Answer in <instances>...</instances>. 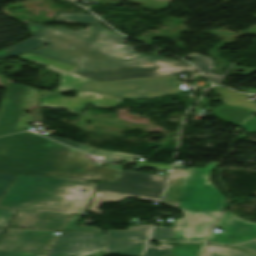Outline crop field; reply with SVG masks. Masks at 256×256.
<instances>
[{
    "mask_svg": "<svg viewBox=\"0 0 256 256\" xmlns=\"http://www.w3.org/2000/svg\"><path fill=\"white\" fill-rule=\"evenodd\" d=\"M32 38L0 50V59L43 46L30 53L78 66L74 73L97 81L122 80L175 75L196 70L186 62L137 53L123 44L126 37L91 25L73 31L61 27L46 28L29 22ZM174 71L175 73H170Z\"/></svg>",
    "mask_w": 256,
    "mask_h": 256,
    "instance_id": "1",
    "label": "crop field"
},
{
    "mask_svg": "<svg viewBox=\"0 0 256 256\" xmlns=\"http://www.w3.org/2000/svg\"><path fill=\"white\" fill-rule=\"evenodd\" d=\"M84 153L30 132L0 138V172L115 182L121 169L93 164Z\"/></svg>",
    "mask_w": 256,
    "mask_h": 256,
    "instance_id": "2",
    "label": "crop field"
},
{
    "mask_svg": "<svg viewBox=\"0 0 256 256\" xmlns=\"http://www.w3.org/2000/svg\"><path fill=\"white\" fill-rule=\"evenodd\" d=\"M95 183L19 175L0 201L2 208L84 214ZM78 189L89 190L86 194Z\"/></svg>",
    "mask_w": 256,
    "mask_h": 256,
    "instance_id": "3",
    "label": "crop field"
},
{
    "mask_svg": "<svg viewBox=\"0 0 256 256\" xmlns=\"http://www.w3.org/2000/svg\"><path fill=\"white\" fill-rule=\"evenodd\" d=\"M211 170L186 169L179 205L184 217L177 220L173 243L204 242L214 220L222 212L226 197L208 180Z\"/></svg>",
    "mask_w": 256,
    "mask_h": 256,
    "instance_id": "4",
    "label": "crop field"
},
{
    "mask_svg": "<svg viewBox=\"0 0 256 256\" xmlns=\"http://www.w3.org/2000/svg\"><path fill=\"white\" fill-rule=\"evenodd\" d=\"M168 176L122 171L117 183L100 182L93 195L89 210L99 215L101 203H119L127 196L159 202Z\"/></svg>",
    "mask_w": 256,
    "mask_h": 256,
    "instance_id": "5",
    "label": "crop field"
},
{
    "mask_svg": "<svg viewBox=\"0 0 256 256\" xmlns=\"http://www.w3.org/2000/svg\"><path fill=\"white\" fill-rule=\"evenodd\" d=\"M177 86L178 81L175 76L109 82H97L90 79L78 90H92L127 98H152L162 95L177 94ZM143 91L146 92L143 93Z\"/></svg>",
    "mask_w": 256,
    "mask_h": 256,
    "instance_id": "6",
    "label": "crop field"
},
{
    "mask_svg": "<svg viewBox=\"0 0 256 256\" xmlns=\"http://www.w3.org/2000/svg\"><path fill=\"white\" fill-rule=\"evenodd\" d=\"M37 104L36 89L9 84L0 105V135L29 129L31 116L25 113L29 105Z\"/></svg>",
    "mask_w": 256,
    "mask_h": 256,
    "instance_id": "7",
    "label": "crop field"
},
{
    "mask_svg": "<svg viewBox=\"0 0 256 256\" xmlns=\"http://www.w3.org/2000/svg\"><path fill=\"white\" fill-rule=\"evenodd\" d=\"M40 93L41 107H61L76 114H82L89 104L115 108L121 100L92 92H77L76 97H64L60 93Z\"/></svg>",
    "mask_w": 256,
    "mask_h": 256,
    "instance_id": "8",
    "label": "crop field"
},
{
    "mask_svg": "<svg viewBox=\"0 0 256 256\" xmlns=\"http://www.w3.org/2000/svg\"><path fill=\"white\" fill-rule=\"evenodd\" d=\"M55 238L52 232L8 229L0 242V250L46 253Z\"/></svg>",
    "mask_w": 256,
    "mask_h": 256,
    "instance_id": "9",
    "label": "crop field"
},
{
    "mask_svg": "<svg viewBox=\"0 0 256 256\" xmlns=\"http://www.w3.org/2000/svg\"><path fill=\"white\" fill-rule=\"evenodd\" d=\"M216 227L224 228L225 232L211 234L208 242L233 245L256 238V223L241 219L231 212L225 213Z\"/></svg>",
    "mask_w": 256,
    "mask_h": 256,
    "instance_id": "10",
    "label": "crop field"
},
{
    "mask_svg": "<svg viewBox=\"0 0 256 256\" xmlns=\"http://www.w3.org/2000/svg\"><path fill=\"white\" fill-rule=\"evenodd\" d=\"M68 215L69 214L64 213L20 210V213L17 215L11 226L21 228L60 230L64 225Z\"/></svg>",
    "mask_w": 256,
    "mask_h": 256,
    "instance_id": "11",
    "label": "crop field"
},
{
    "mask_svg": "<svg viewBox=\"0 0 256 256\" xmlns=\"http://www.w3.org/2000/svg\"><path fill=\"white\" fill-rule=\"evenodd\" d=\"M32 62L48 65L45 69L61 73L60 88L59 91L76 90L81 87L89 79L74 74L75 66L60 63L54 60H50L38 55L27 53L22 56H18Z\"/></svg>",
    "mask_w": 256,
    "mask_h": 256,
    "instance_id": "12",
    "label": "crop field"
},
{
    "mask_svg": "<svg viewBox=\"0 0 256 256\" xmlns=\"http://www.w3.org/2000/svg\"><path fill=\"white\" fill-rule=\"evenodd\" d=\"M146 241L105 240L104 256H140Z\"/></svg>",
    "mask_w": 256,
    "mask_h": 256,
    "instance_id": "13",
    "label": "crop field"
},
{
    "mask_svg": "<svg viewBox=\"0 0 256 256\" xmlns=\"http://www.w3.org/2000/svg\"><path fill=\"white\" fill-rule=\"evenodd\" d=\"M186 58L197 59L193 64L199 68L207 77H209L213 82L222 84L226 76L234 68L236 64L231 63L229 67L224 71L222 75L213 74V67L215 66L214 61L211 57L192 53Z\"/></svg>",
    "mask_w": 256,
    "mask_h": 256,
    "instance_id": "14",
    "label": "crop field"
},
{
    "mask_svg": "<svg viewBox=\"0 0 256 256\" xmlns=\"http://www.w3.org/2000/svg\"><path fill=\"white\" fill-rule=\"evenodd\" d=\"M185 169H174L167 186L163 204L178 209Z\"/></svg>",
    "mask_w": 256,
    "mask_h": 256,
    "instance_id": "15",
    "label": "crop field"
},
{
    "mask_svg": "<svg viewBox=\"0 0 256 256\" xmlns=\"http://www.w3.org/2000/svg\"><path fill=\"white\" fill-rule=\"evenodd\" d=\"M42 135H44L48 138H51L53 140L59 141L65 145L77 148V149L82 150L87 153H90L92 155L106 156V157H112V158H117V159H125V160H127V163H132L134 161L135 155H133V154L112 152V151H102V150H99V149H96V148H93V147H90L87 145L79 144L75 141L49 136L47 134H42Z\"/></svg>",
    "mask_w": 256,
    "mask_h": 256,
    "instance_id": "16",
    "label": "crop field"
},
{
    "mask_svg": "<svg viewBox=\"0 0 256 256\" xmlns=\"http://www.w3.org/2000/svg\"><path fill=\"white\" fill-rule=\"evenodd\" d=\"M252 113L253 112L246 109L225 106H221L213 112L214 116H216L218 119L236 126H238L246 117Z\"/></svg>",
    "mask_w": 256,
    "mask_h": 256,
    "instance_id": "17",
    "label": "crop field"
},
{
    "mask_svg": "<svg viewBox=\"0 0 256 256\" xmlns=\"http://www.w3.org/2000/svg\"><path fill=\"white\" fill-rule=\"evenodd\" d=\"M212 90L222 97V99L224 100V104L226 105L243 106L248 107L253 111L256 110V103L247 100L245 95L243 94H239L234 91L220 87L212 88Z\"/></svg>",
    "mask_w": 256,
    "mask_h": 256,
    "instance_id": "18",
    "label": "crop field"
},
{
    "mask_svg": "<svg viewBox=\"0 0 256 256\" xmlns=\"http://www.w3.org/2000/svg\"><path fill=\"white\" fill-rule=\"evenodd\" d=\"M150 225H139L135 227H129L125 230H110L105 231V238L113 239H146L148 236Z\"/></svg>",
    "mask_w": 256,
    "mask_h": 256,
    "instance_id": "19",
    "label": "crop field"
},
{
    "mask_svg": "<svg viewBox=\"0 0 256 256\" xmlns=\"http://www.w3.org/2000/svg\"><path fill=\"white\" fill-rule=\"evenodd\" d=\"M55 21L95 25L100 24V21L94 15L68 14L62 12L57 13Z\"/></svg>",
    "mask_w": 256,
    "mask_h": 256,
    "instance_id": "20",
    "label": "crop field"
},
{
    "mask_svg": "<svg viewBox=\"0 0 256 256\" xmlns=\"http://www.w3.org/2000/svg\"><path fill=\"white\" fill-rule=\"evenodd\" d=\"M202 256H255L234 248L205 245Z\"/></svg>",
    "mask_w": 256,
    "mask_h": 256,
    "instance_id": "21",
    "label": "crop field"
},
{
    "mask_svg": "<svg viewBox=\"0 0 256 256\" xmlns=\"http://www.w3.org/2000/svg\"><path fill=\"white\" fill-rule=\"evenodd\" d=\"M175 226L176 220H174L172 228L155 226L150 240L172 243Z\"/></svg>",
    "mask_w": 256,
    "mask_h": 256,
    "instance_id": "22",
    "label": "crop field"
},
{
    "mask_svg": "<svg viewBox=\"0 0 256 256\" xmlns=\"http://www.w3.org/2000/svg\"><path fill=\"white\" fill-rule=\"evenodd\" d=\"M201 245H173L171 256H198Z\"/></svg>",
    "mask_w": 256,
    "mask_h": 256,
    "instance_id": "23",
    "label": "crop field"
},
{
    "mask_svg": "<svg viewBox=\"0 0 256 256\" xmlns=\"http://www.w3.org/2000/svg\"><path fill=\"white\" fill-rule=\"evenodd\" d=\"M95 252H98V251L52 248V250L49 252L47 256H84V255L95 253Z\"/></svg>",
    "mask_w": 256,
    "mask_h": 256,
    "instance_id": "24",
    "label": "crop field"
},
{
    "mask_svg": "<svg viewBox=\"0 0 256 256\" xmlns=\"http://www.w3.org/2000/svg\"><path fill=\"white\" fill-rule=\"evenodd\" d=\"M151 241L148 242L144 256H170L172 245L160 244L158 248L151 246Z\"/></svg>",
    "mask_w": 256,
    "mask_h": 256,
    "instance_id": "25",
    "label": "crop field"
},
{
    "mask_svg": "<svg viewBox=\"0 0 256 256\" xmlns=\"http://www.w3.org/2000/svg\"><path fill=\"white\" fill-rule=\"evenodd\" d=\"M81 216H72L70 217L66 227L64 230H76V231H95V232H102L99 228L97 227H89V228H78L76 225L79 221Z\"/></svg>",
    "mask_w": 256,
    "mask_h": 256,
    "instance_id": "26",
    "label": "crop field"
},
{
    "mask_svg": "<svg viewBox=\"0 0 256 256\" xmlns=\"http://www.w3.org/2000/svg\"><path fill=\"white\" fill-rule=\"evenodd\" d=\"M136 1L145 2L141 7L152 9V10L166 9L170 5V3L168 2H160L155 0H136Z\"/></svg>",
    "mask_w": 256,
    "mask_h": 256,
    "instance_id": "27",
    "label": "crop field"
},
{
    "mask_svg": "<svg viewBox=\"0 0 256 256\" xmlns=\"http://www.w3.org/2000/svg\"><path fill=\"white\" fill-rule=\"evenodd\" d=\"M15 176L16 175L0 173V197L7 189V187L10 185Z\"/></svg>",
    "mask_w": 256,
    "mask_h": 256,
    "instance_id": "28",
    "label": "crop field"
},
{
    "mask_svg": "<svg viewBox=\"0 0 256 256\" xmlns=\"http://www.w3.org/2000/svg\"><path fill=\"white\" fill-rule=\"evenodd\" d=\"M16 211L0 209V226H8Z\"/></svg>",
    "mask_w": 256,
    "mask_h": 256,
    "instance_id": "29",
    "label": "crop field"
},
{
    "mask_svg": "<svg viewBox=\"0 0 256 256\" xmlns=\"http://www.w3.org/2000/svg\"><path fill=\"white\" fill-rule=\"evenodd\" d=\"M242 128L248 132H256V118L252 117L243 123Z\"/></svg>",
    "mask_w": 256,
    "mask_h": 256,
    "instance_id": "30",
    "label": "crop field"
},
{
    "mask_svg": "<svg viewBox=\"0 0 256 256\" xmlns=\"http://www.w3.org/2000/svg\"><path fill=\"white\" fill-rule=\"evenodd\" d=\"M136 166L142 167H153V168H159V169H165V170H171L172 165L167 164H155V163H143V162H137Z\"/></svg>",
    "mask_w": 256,
    "mask_h": 256,
    "instance_id": "31",
    "label": "crop field"
},
{
    "mask_svg": "<svg viewBox=\"0 0 256 256\" xmlns=\"http://www.w3.org/2000/svg\"><path fill=\"white\" fill-rule=\"evenodd\" d=\"M236 248H240V249H243V250H246L248 252L256 254V241H251L249 243L236 246Z\"/></svg>",
    "mask_w": 256,
    "mask_h": 256,
    "instance_id": "32",
    "label": "crop field"
},
{
    "mask_svg": "<svg viewBox=\"0 0 256 256\" xmlns=\"http://www.w3.org/2000/svg\"><path fill=\"white\" fill-rule=\"evenodd\" d=\"M0 256H34V254L0 251Z\"/></svg>",
    "mask_w": 256,
    "mask_h": 256,
    "instance_id": "33",
    "label": "crop field"
},
{
    "mask_svg": "<svg viewBox=\"0 0 256 256\" xmlns=\"http://www.w3.org/2000/svg\"><path fill=\"white\" fill-rule=\"evenodd\" d=\"M97 1H102V2L111 3V4H115V3H118V2H121V1H127L129 3L139 4V5L143 4L141 2H135V1H130V0H97Z\"/></svg>",
    "mask_w": 256,
    "mask_h": 256,
    "instance_id": "34",
    "label": "crop field"
},
{
    "mask_svg": "<svg viewBox=\"0 0 256 256\" xmlns=\"http://www.w3.org/2000/svg\"><path fill=\"white\" fill-rule=\"evenodd\" d=\"M234 69H237V70H247V71H256V69H254V68L239 67V66H235Z\"/></svg>",
    "mask_w": 256,
    "mask_h": 256,
    "instance_id": "35",
    "label": "crop field"
},
{
    "mask_svg": "<svg viewBox=\"0 0 256 256\" xmlns=\"http://www.w3.org/2000/svg\"><path fill=\"white\" fill-rule=\"evenodd\" d=\"M219 163L217 162H211L210 164H208L206 167H210V168H215L216 166H218Z\"/></svg>",
    "mask_w": 256,
    "mask_h": 256,
    "instance_id": "36",
    "label": "crop field"
},
{
    "mask_svg": "<svg viewBox=\"0 0 256 256\" xmlns=\"http://www.w3.org/2000/svg\"><path fill=\"white\" fill-rule=\"evenodd\" d=\"M4 228H0V236L2 235V233L4 232Z\"/></svg>",
    "mask_w": 256,
    "mask_h": 256,
    "instance_id": "37",
    "label": "crop field"
},
{
    "mask_svg": "<svg viewBox=\"0 0 256 256\" xmlns=\"http://www.w3.org/2000/svg\"><path fill=\"white\" fill-rule=\"evenodd\" d=\"M72 1L76 2V1H78V0H72Z\"/></svg>",
    "mask_w": 256,
    "mask_h": 256,
    "instance_id": "38",
    "label": "crop field"
}]
</instances>
